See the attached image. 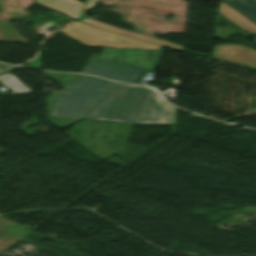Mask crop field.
Wrapping results in <instances>:
<instances>
[{"label":"crop field","mask_w":256,"mask_h":256,"mask_svg":"<svg viewBox=\"0 0 256 256\" xmlns=\"http://www.w3.org/2000/svg\"><path fill=\"white\" fill-rule=\"evenodd\" d=\"M98 54L92 55L82 72L114 80L136 83L144 71L95 60Z\"/></svg>","instance_id":"6"},{"label":"crop field","mask_w":256,"mask_h":256,"mask_svg":"<svg viewBox=\"0 0 256 256\" xmlns=\"http://www.w3.org/2000/svg\"><path fill=\"white\" fill-rule=\"evenodd\" d=\"M256 21V0H222Z\"/></svg>","instance_id":"12"},{"label":"crop field","mask_w":256,"mask_h":256,"mask_svg":"<svg viewBox=\"0 0 256 256\" xmlns=\"http://www.w3.org/2000/svg\"><path fill=\"white\" fill-rule=\"evenodd\" d=\"M213 58L256 68V51L238 46H214Z\"/></svg>","instance_id":"7"},{"label":"crop field","mask_w":256,"mask_h":256,"mask_svg":"<svg viewBox=\"0 0 256 256\" xmlns=\"http://www.w3.org/2000/svg\"><path fill=\"white\" fill-rule=\"evenodd\" d=\"M148 89L117 83L84 119L134 124Z\"/></svg>","instance_id":"2"},{"label":"crop field","mask_w":256,"mask_h":256,"mask_svg":"<svg viewBox=\"0 0 256 256\" xmlns=\"http://www.w3.org/2000/svg\"><path fill=\"white\" fill-rule=\"evenodd\" d=\"M34 2L76 19L82 2L77 0H35Z\"/></svg>","instance_id":"9"},{"label":"crop field","mask_w":256,"mask_h":256,"mask_svg":"<svg viewBox=\"0 0 256 256\" xmlns=\"http://www.w3.org/2000/svg\"><path fill=\"white\" fill-rule=\"evenodd\" d=\"M175 115L176 107L150 88L135 123H175Z\"/></svg>","instance_id":"5"},{"label":"crop field","mask_w":256,"mask_h":256,"mask_svg":"<svg viewBox=\"0 0 256 256\" xmlns=\"http://www.w3.org/2000/svg\"><path fill=\"white\" fill-rule=\"evenodd\" d=\"M97 0H87L83 10H90V9H93L95 3H96Z\"/></svg>","instance_id":"13"},{"label":"crop field","mask_w":256,"mask_h":256,"mask_svg":"<svg viewBox=\"0 0 256 256\" xmlns=\"http://www.w3.org/2000/svg\"><path fill=\"white\" fill-rule=\"evenodd\" d=\"M0 82L9 88L14 93H28L33 92L29 87L22 83L18 78H16L10 72L0 75ZM12 94V93H4Z\"/></svg>","instance_id":"11"},{"label":"crop field","mask_w":256,"mask_h":256,"mask_svg":"<svg viewBox=\"0 0 256 256\" xmlns=\"http://www.w3.org/2000/svg\"><path fill=\"white\" fill-rule=\"evenodd\" d=\"M13 68H15V67L0 64V73L5 72V71L10 70V69H13Z\"/></svg>","instance_id":"14"},{"label":"crop field","mask_w":256,"mask_h":256,"mask_svg":"<svg viewBox=\"0 0 256 256\" xmlns=\"http://www.w3.org/2000/svg\"><path fill=\"white\" fill-rule=\"evenodd\" d=\"M45 73L65 87L46 97L49 121L61 129L81 121L116 84L89 75Z\"/></svg>","instance_id":"1"},{"label":"crop field","mask_w":256,"mask_h":256,"mask_svg":"<svg viewBox=\"0 0 256 256\" xmlns=\"http://www.w3.org/2000/svg\"><path fill=\"white\" fill-rule=\"evenodd\" d=\"M60 32L88 46L163 50V46L116 35L80 22H77Z\"/></svg>","instance_id":"3"},{"label":"crop field","mask_w":256,"mask_h":256,"mask_svg":"<svg viewBox=\"0 0 256 256\" xmlns=\"http://www.w3.org/2000/svg\"><path fill=\"white\" fill-rule=\"evenodd\" d=\"M82 22L90 24V25H94V26H97V27H100V28H103V29H107V30H110V31H113V32H116V33H119V34H122V35L130 36V37H133V38H137V39H141V40H145V41H149V42H153V43L163 45V46H166V47H170V48H173V49H177V50H181V51L183 49L182 46H179V45H176V44H172V43H169V42H166V41H163V40H160V39L148 36V35L121 30L117 27L107 25V24H104V23H101V22H98V21H94V20H91V19L86 20V21H82Z\"/></svg>","instance_id":"8"},{"label":"crop field","mask_w":256,"mask_h":256,"mask_svg":"<svg viewBox=\"0 0 256 256\" xmlns=\"http://www.w3.org/2000/svg\"><path fill=\"white\" fill-rule=\"evenodd\" d=\"M218 11L224 18H226L227 20H229L236 26H238L246 31L256 34V25L253 24L251 21H249L244 16L238 14L236 11H234L229 6L220 2Z\"/></svg>","instance_id":"10"},{"label":"crop field","mask_w":256,"mask_h":256,"mask_svg":"<svg viewBox=\"0 0 256 256\" xmlns=\"http://www.w3.org/2000/svg\"><path fill=\"white\" fill-rule=\"evenodd\" d=\"M163 51L102 48L97 59L148 71H154Z\"/></svg>","instance_id":"4"}]
</instances>
